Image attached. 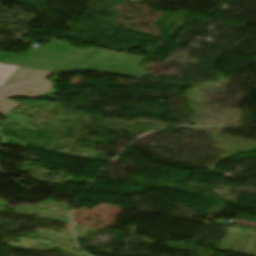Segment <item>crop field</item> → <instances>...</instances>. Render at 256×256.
Here are the masks:
<instances>
[{"label": "crop field", "mask_w": 256, "mask_h": 256, "mask_svg": "<svg viewBox=\"0 0 256 256\" xmlns=\"http://www.w3.org/2000/svg\"><path fill=\"white\" fill-rule=\"evenodd\" d=\"M142 59L92 48L77 49L55 41L49 42L43 48L32 50L24 57L0 53V62L17 66L49 71L100 69L134 78L143 75L137 65Z\"/></svg>", "instance_id": "1"}, {"label": "crop field", "mask_w": 256, "mask_h": 256, "mask_svg": "<svg viewBox=\"0 0 256 256\" xmlns=\"http://www.w3.org/2000/svg\"><path fill=\"white\" fill-rule=\"evenodd\" d=\"M53 73L19 67L0 89V114L4 115L22 104L5 98L23 96L33 99L46 94L52 85L44 78Z\"/></svg>", "instance_id": "2"}, {"label": "crop field", "mask_w": 256, "mask_h": 256, "mask_svg": "<svg viewBox=\"0 0 256 256\" xmlns=\"http://www.w3.org/2000/svg\"><path fill=\"white\" fill-rule=\"evenodd\" d=\"M17 68V66L0 63V86H3Z\"/></svg>", "instance_id": "3"}]
</instances>
